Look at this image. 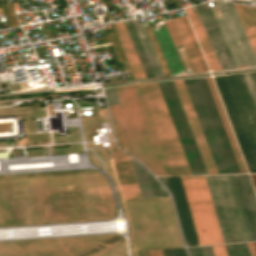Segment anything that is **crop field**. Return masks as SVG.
Instances as JSON below:
<instances>
[{
    "instance_id": "obj_24",
    "label": "crop field",
    "mask_w": 256,
    "mask_h": 256,
    "mask_svg": "<svg viewBox=\"0 0 256 256\" xmlns=\"http://www.w3.org/2000/svg\"><path fill=\"white\" fill-rule=\"evenodd\" d=\"M215 256H227L225 246L224 245H218V246H212Z\"/></svg>"
},
{
    "instance_id": "obj_18",
    "label": "crop field",
    "mask_w": 256,
    "mask_h": 256,
    "mask_svg": "<svg viewBox=\"0 0 256 256\" xmlns=\"http://www.w3.org/2000/svg\"><path fill=\"white\" fill-rule=\"evenodd\" d=\"M202 79H203V82H204V84H205L206 90H207V92H208L209 98H210V100H211L212 106H213V108H214L215 114H216V116H217L218 122H219V124H220L221 130H222V132H223L224 138H225V140H226L227 146H228V148H229L230 154H231V156H232L233 162H234V164H235L236 170H237L238 173H241L240 170H239L238 164H237V162H236V159H235V157H234L233 151H232V149H231V146H230V144H229L228 138H227V136H226V133H225V131H224V128H223V126H222L221 120H220L219 115H218V113H217L216 107H215L214 102H213V100H212L211 94H210L209 89H208V87H207L206 81H205L204 78H202Z\"/></svg>"
},
{
    "instance_id": "obj_11",
    "label": "crop field",
    "mask_w": 256,
    "mask_h": 256,
    "mask_svg": "<svg viewBox=\"0 0 256 256\" xmlns=\"http://www.w3.org/2000/svg\"><path fill=\"white\" fill-rule=\"evenodd\" d=\"M172 20L174 22V25L176 27V30L178 32V35L180 37V40L182 42V45L184 47V50L186 52V55L188 57V60L190 62L193 72L194 73L203 72L181 17L178 16L173 18Z\"/></svg>"
},
{
    "instance_id": "obj_13",
    "label": "crop field",
    "mask_w": 256,
    "mask_h": 256,
    "mask_svg": "<svg viewBox=\"0 0 256 256\" xmlns=\"http://www.w3.org/2000/svg\"><path fill=\"white\" fill-rule=\"evenodd\" d=\"M247 241H253L234 175H227Z\"/></svg>"
},
{
    "instance_id": "obj_22",
    "label": "crop field",
    "mask_w": 256,
    "mask_h": 256,
    "mask_svg": "<svg viewBox=\"0 0 256 256\" xmlns=\"http://www.w3.org/2000/svg\"><path fill=\"white\" fill-rule=\"evenodd\" d=\"M147 174L152 188L153 196L161 197L158 182L153 178V176L148 171Z\"/></svg>"
},
{
    "instance_id": "obj_8",
    "label": "crop field",
    "mask_w": 256,
    "mask_h": 256,
    "mask_svg": "<svg viewBox=\"0 0 256 256\" xmlns=\"http://www.w3.org/2000/svg\"><path fill=\"white\" fill-rule=\"evenodd\" d=\"M152 29V28H151ZM153 34L156 38L158 46L161 50L163 58L166 62L168 70L171 75L181 74L179 70H182L180 60L178 58L175 47L171 41L166 27L157 28V30L152 29Z\"/></svg>"
},
{
    "instance_id": "obj_16",
    "label": "crop field",
    "mask_w": 256,
    "mask_h": 256,
    "mask_svg": "<svg viewBox=\"0 0 256 256\" xmlns=\"http://www.w3.org/2000/svg\"><path fill=\"white\" fill-rule=\"evenodd\" d=\"M117 24H118V26H119V29H120L121 33H122V36H123V38H124V41H125V43H126V46H127L128 50H129V53H130V55H131V58H132V60H133V63H134V65H135V68H136V70H137V72H138L139 77H140V78L146 77L145 74H144V72H143V69H142V67H141V64H140V62H139V60H138V57H137V55H136V53H135V50H134V48H133V45H132V43H131V41H130V38H129V36H128V33H127L126 29H125L124 23H123V22H119V23H117Z\"/></svg>"
},
{
    "instance_id": "obj_4",
    "label": "crop field",
    "mask_w": 256,
    "mask_h": 256,
    "mask_svg": "<svg viewBox=\"0 0 256 256\" xmlns=\"http://www.w3.org/2000/svg\"><path fill=\"white\" fill-rule=\"evenodd\" d=\"M192 174H207L172 81L157 82Z\"/></svg>"
},
{
    "instance_id": "obj_7",
    "label": "crop field",
    "mask_w": 256,
    "mask_h": 256,
    "mask_svg": "<svg viewBox=\"0 0 256 256\" xmlns=\"http://www.w3.org/2000/svg\"><path fill=\"white\" fill-rule=\"evenodd\" d=\"M112 158L124 199L141 198L130 157L116 146L112 148Z\"/></svg>"
},
{
    "instance_id": "obj_23",
    "label": "crop field",
    "mask_w": 256,
    "mask_h": 256,
    "mask_svg": "<svg viewBox=\"0 0 256 256\" xmlns=\"http://www.w3.org/2000/svg\"><path fill=\"white\" fill-rule=\"evenodd\" d=\"M185 69L191 68L181 45L175 46Z\"/></svg>"
},
{
    "instance_id": "obj_6",
    "label": "crop field",
    "mask_w": 256,
    "mask_h": 256,
    "mask_svg": "<svg viewBox=\"0 0 256 256\" xmlns=\"http://www.w3.org/2000/svg\"><path fill=\"white\" fill-rule=\"evenodd\" d=\"M208 174H218L182 80L173 81Z\"/></svg>"
},
{
    "instance_id": "obj_26",
    "label": "crop field",
    "mask_w": 256,
    "mask_h": 256,
    "mask_svg": "<svg viewBox=\"0 0 256 256\" xmlns=\"http://www.w3.org/2000/svg\"><path fill=\"white\" fill-rule=\"evenodd\" d=\"M247 244H248V248H249V251H250V255L251 256H256V250H255V247H254V243L250 242V243H247Z\"/></svg>"
},
{
    "instance_id": "obj_27",
    "label": "crop field",
    "mask_w": 256,
    "mask_h": 256,
    "mask_svg": "<svg viewBox=\"0 0 256 256\" xmlns=\"http://www.w3.org/2000/svg\"><path fill=\"white\" fill-rule=\"evenodd\" d=\"M163 256H173L171 249L161 250Z\"/></svg>"
},
{
    "instance_id": "obj_19",
    "label": "crop field",
    "mask_w": 256,
    "mask_h": 256,
    "mask_svg": "<svg viewBox=\"0 0 256 256\" xmlns=\"http://www.w3.org/2000/svg\"><path fill=\"white\" fill-rule=\"evenodd\" d=\"M181 17H182L183 22H184V24H185V26H186V29H187L188 34H189V36H190V39H191V41H192V43H193V46H194V48H195V51H196L197 56H198V58H199V61H200L201 65H202V68H203L204 71H207L208 69H207V67H206V65H205V62H204V60H203V57H202V55H201V53H200V50H199V48H198V45H197V43H196V40H195L194 35H193V33H192V30H191V28H190V26H189V23H188V21H187V18H186L185 15H183V16H181Z\"/></svg>"
},
{
    "instance_id": "obj_14",
    "label": "crop field",
    "mask_w": 256,
    "mask_h": 256,
    "mask_svg": "<svg viewBox=\"0 0 256 256\" xmlns=\"http://www.w3.org/2000/svg\"><path fill=\"white\" fill-rule=\"evenodd\" d=\"M128 22H129V24H130L131 27H128L127 30H128L129 35H130V37H131V40H132V42H133V45H134V47H135V49H136V52H137V54H138V57H139L140 62H141V64H142V67H143V69H144V71H145V74H146L147 77L154 76L153 73H152V70H151V68H150V65H149V63H148V60H147V58H146V55H145V53H144V50H143V48H142V46H141V43H140V41H139V38H138V36H137V33H136V31H135V28H134V26H133V23H132L131 20H129Z\"/></svg>"
},
{
    "instance_id": "obj_12",
    "label": "crop field",
    "mask_w": 256,
    "mask_h": 256,
    "mask_svg": "<svg viewBox=\"0 0 256 256\" xmlns=\"http://www.w3.org/2000/svg\"><path fill=\"white\" fill-rule=\"evenodd\" d=\"M242 173H247L211 78H205Z\"/></svg>"
},
{
    "instance_id": "obj_1",
    "label": "crop field",
    "mask_w": 256,
    "mask_h": 256,
    "mask_svg": "<svg viewBox=\"0 0 256 256\" xmlns=\"http://www.w3.org/2000/svg\"><path fill=\"white\" fill-rule=\"evenodd\" d=\"M114 89L121 104L110 107L127 153L154 175H171L138 86Z\"/></svg>"
},
{
    "instance_id": "obj_15",
    "label": "crop field",
    "mask_w": 256,
    "mask_h": 256,
    "mask_svg": "<svg viewBox=\"0 0 256 256\" xmlns=\"http://www.w3.org/2000/svg\"><path fill=\"white\" fill-rule=\"evenodd\" d=\"M185 11H186V13H187V15H188V18H189V20H190V22H191V25H192V27H193V29H194V32H195L196 36H197V39H198V41H199V43H200V45H201V48H202V50H203V52H204V55H205V57H206V59H207V62H208V64H209V66H210V70H217L216 67H215V65H214V62H213V60H212V58H211V55H210V53H209V50H208V48H207V46H206V43H205V41H204V39H203V36H202V34H201V32H200V29H199V27H198V24H197V22H196V20H195V17H194V15H193V13H192L191 8L188 7V8L185 9Z\"/></svg>"
},
{
    "instance_id": "obj_9",
    "label": "crop field",
    "mask_w": 256,
    "mask_h": 256,
    "mask_svg": "<svg viewBox=\"0 0 256 256\" xmlns=\"http://www.w3.org/2000/svg\"><path fill=\"white\" fill-rule=\"evenodd\" d=\"M244 204L245 212L253 236L256 241V202L248 175H235Z\"/></svg>"
},
{
    "instance_id": "obj_3",
    "label": "crop field",
    "mask_w": 256,
    "mask_h": 256,
    "mask_svg": "<svg viewBox=\"0 0 256 256\" xmlns=\"http://www.w3.org/2000/svg\"><path fill=\"white\" fill-rule=\"evenodd\" d=\"M200 245L223 243L204 176H180Z\"/></svg>"
},
{
    "instance_id": "obj_21",
    "label": "crop field",
    "mask_w": 256,
    "mask_h": 256,
    "mask_svg": "<svg viewBox=\"0 0 256 256\" xmlns=\"http://www.w3.org/2000/svg\"><path fill=\"white\" fill-rule=\"evenodd\" d=\"M244 75H245V78L247 80L248 86L250 88L251 94L253 96L254 102L256 104V85H255L254 79L252 77V74L247 73V74H244Z\"/></svg>"
},
{
    "instance_id": "obj_25",
    "label": "crop field",
    "mask_w": 256,
    "mask_h": 256,
    "mask_svg": "<svg viewBox=\"0 0 256 256\" xmlns=\"http://www.w3.org/2000/svg\"><path fill=\"white\" fill-rule=\"evenodd\" d=\"M145 256H162L160 250L144 251Z\"/></svg>"
},
{
    "instance_id": "obj_20",
    "label": "crop field",
    "mask_w": 256,
    "mask_h": 256,
    "mask_svg": "<svg viewBox=\"0 0 256 256\" xmlns=\"http://www.w3.org/2000/svg\"><path fill=\"white\" fill-rule=\"evenodd\" d=\"M194 15H195L196 20H197V22H198V24H199V27H200V29H201V31H202V34H203V36H204V38H205V41H206L207 46H208V48H209V50H210V53H211V55H212V57H213V60H214V62H215V65H216V67H217L218 70H221L220 67H219V65H218V62H217V60H216V58H215V55H214V53H213V50H212V48H211V46H210V43H209V41H208V39H207V36H206V34H205V32H204V29H203V27H202V24H201V22H200V20H199V17H198V15H197L196 12H194Z\"/></svg>"
},
{
    "instance_id": "obj_28",
    "label": "crop field",
    "mask_w": 256,
    "mask_h": 256,
    "mask_svg": "<svg viewBox=\"0 0 256 256\" xmlns=\"http://www.w3.org/2000/svg\"><path fill=\"white\" fill-rule=\"evenodd\" d=\"M253 74V77L255 79V82H256V73H252Z\"/></svg>"
},
{
    "instance_id": "obj_10",
    "label": "crop field",
    "mask_w": 256,
    "mask_h": 256,
    "mask_svg": "<svg viewBox=\"0 0 256 256\" xmlns=\"http://www.w3.org/2000/svg\"><path fill=\"white\" fill-rule=\"evenodd\" d=\"M256 56V8L233 4Z\"/></svg>"
},
{
    "instance_id": "obj_5",
    "label": "crop field",
    "mask_w": 256,
    "mask_h": 256,
    "mask_svg": "<svg viewBox=\"0 0 256 256\" xmlns=\"http://www.w3.org/2000/svg\"><path fill=\"white\" fill-rule=\"evenodd\" d=\"M222 70L236 68L209 3L195 6Z\"/></svg>"
},
{
    "instance_id": "obj_17",
    "label": "crop field",
    "mask_w": 256,
    "mask_h": 256,
    "mask_svg": "<svg viewBox=\"0 0 256 256\" xmlns=\"http://www.w3.org/2000/svg\"><path fill=\"white\" fill-rule=\"evenodd\" d=\"M112 25H113V27H114V29H115V31H116V33H117V36H118V38H119L120 44H121V46H122L123 52H124V54H125V57H126V60H127V62H128V65H129V68H130V70H131V73H132L133 78H134V79L139 78L138 75H137V72H136V70H135V68H134V65H133V63H132V60H131V58H130V55H129L128 51H127V48H126V46H125V43H124L123 38H122V36H121V33H120L119 29H118L117 24L114 23V24H112Z\"/></svg>"
},
{
    "instance_id": "obj_2",
    "label": "crop field",
    "mask_w": 256,
    "mask_h": 256,
    "mask_svg": "<svg viewBox=\"0 0 256 256\" xmlns=\"http://www.w3.org/2000/svg\"><path fill=\"white\" fill-rule=\"evenodd\" d=\"M138 86L171 174H191L157 83H144Z\"/></svg>"
},
{
    "instance_id": "obj_29",
    "label": "crop field",
    "mask_w": 256,
    "mask_h": 256,
    "mask_svg": "<svg viewBox=\"0 0 256 256\" xmlns=\"http://www.w3.org/2000/svg\"><path fill=\"white\" fill-rule=\"evenodd\" d=\"M255 243V247H256V242H254Z\"/></svg>"
}]
</instances>
